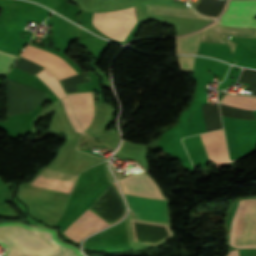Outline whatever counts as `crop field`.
<instances>
[{
  "mask_svg": "<svg viewBox=\"0 0 256 256\" xmlns=\"http://www.w3.org/2000/svg\"><path fill=\"white\" fill-rule=\"evenodd\" d=\"M20 223H0V243L8 249L3 256H40L43 244L37 240L59 251L83 256L77 249L60 242L48 229L21 223L36 240ZM47 245L44 246L42 256H73Z\"/></svg>",
  "mask_w": 256,
  "mask_h": 256,
  "instance_id": "obj_1",
  "label": "crop field"
},
{
  "mask_svg": "<svg viewBox=\"0 0 256 256\" xmlns=\"http://www.w3.org/2000/svg\"><path fill=\"white\" fill-rule=\"evenodd\" d=\"M228 245L256 248V198L240 199L228 213Z\"/></svg>",
  "mask_w": 256,
  "mask_h": 256,
  "instance_id": "obj_2",
  "label": "crop field"
},
{
  "mask_svg": "<svg viewBox=\"0 0 256 256\" xmlns=\"http://www.w3.org/2000/svg\"><path fill=\"white\" fill-rule=\"evenodd\" d=\"M135 21V10L132 7L104 13H95L93 24L105 35L124 41Z\"/></svg>",
  "mask_w": 256,
  "mask_h": 256,
  "instance_id": "obj_3",
  "label": "crop field"
},
{
  "mask_svg": "<svg viewBox=\"0 0 256 256\" xmlns=\"http://www.w3.org/2000/svg\"><path fill=\"white\" fill-rule=\"evenodd\" d=\"M256 0H231L219 24L232 27H256Z\"/></svg>",
  "mask_w": 256,
  "mask_h": 256,
  "instance_id": "obj_4",
  "label": "crop field"
},
{
  "mask_svg": "<svg viewBox=\"0 0 256 256\" xmlns=\"http://www.w3.org/2000/svg\"><path fill=\"white\" fill-rule=\"evenodd\" d=\"M126 195V194H125ZM134 214L143 219L168 222L167 200L126 195Z\"/></svg>",
  "mask_w": 256,
  "mask_h": 256,
  "instance_id": "obj_5",
  "label": "crop field"
},
{
  "mask_svg": "<svg viewBox=\"0 0 256 256\" xmlns=\"http://www.w3.org/2000/svg\"><path fill=\"white\" fill-rule=\"evenodd\" d=\"M22 56L52 71L58 80L76 75L74 70L65 62L30 45L23 51Z\"/></svg>",
  "mask_w": 256,
  "mask_h": 256,
  "instance_id": "obj_6",
  "label": "crop field"
},
{
  "mask_svg": "<svg viewBox=\"0 0 256 256\" xmlns=\"http://www.w3.org/2000/svg\"><path fill=\"white\" fill-rule=\"evenodd\" d=\"M75 177L74 175L44 169L30 185L69 194Z\"/></svg>",
  "mask_w": 256,
  "mask_h": 256,
  "instance_id": "obj_7",
  "label": "crop field"
},
{
  "mask_svg": "<svg viewBox=\"0 0 256 256\" xmlns=\"http://www.w3.org/2000/svg\"><path fill=\"white\" fill-rule=\"evenodd\" d=\"M106 225H108V223L88 209L66 229L64 234L78 242L87 234Z\"/></svg>",
  "mask_w": 256,
  "mask_h": 256,
  "instance_id": "obj_8",
  "label": "crop field"
},
{
  "mask_svg": "<svg viewBox=\"0 0 256 256\" xmlns=\"http://www.w3.org/2000/svg\"><path fill=\"white\" fill-rule=\"evenodd\" d=\"M200 136L209 160L215 162L217 168L229 165L222 130Z\"/></svg>",
  "mask_w": 256,
  "mask_h": 256,
  "instance_id": "obj_9",
  "label": "crop field"
},
{
  "mask_svg": "<svg viewBox=\"0 0 256 256\" xmlns=\"http://www.w3.org/2000/svg\"><path fill=\"white\" fill-rule=\"evenodd\" d=\"M147 7V14H168L174 16H185L191 18H203L209 19L210 18L201 16L193 11L191 8L185 7H173V6H164V5H146Z\"/></svg>",
  "mask_w": 256,
  "mask_h": 256,
  "instance_id": "obj_10",
  "label": "crop field"
},
{
  "mask_svg": "<svg viewBox=\"0 0 256 256\" xmlns=\"http://www.w3.org/2000/svg\"><path fill=\"white\" fill-rule=\"evenodd\" d=\"M213 28H209L205 31L196 33L192 36L181 37L176 39L177 54H197L198 45L201 33L213 31Z\"/></svg>",
  "mask_w": 256,
  "mask_h": 256,
  "instance_id": "obj_11",
  "label": "crop field"
},
{
  "mask_svg": "<svg viewBox=\"0 0 256 256\" xmlns=\"http://www.w3.org/2000/svg\"><path fill=\"white\" fill-rule=\"evenodd\" d=\"M220 102L242 109H256V97L226 95Z\"/></svg>",
  "mask_w": 256,
  "mask_h": 256,
  "instance_id": "obj_12",
  "label": "crop field"
},
{
  "mask_svg": "<svg viewBox=\"0 0 256 256\" xmlns=\"http://www.w3.org/2000/svg\"><path fill=\"white\" fill-rule=\"evenodd\" d=\"M60 99L65 97V93L56 78L47 70H42L36 74Z\"/></svg>",
  "mask_w": 256,
  "mask_h": 256,
  "instance_id": "obj_13",
  "label": "crop field"
},
{
  "mask_svg": "<svg viewBox=\"0 0 256 256\" xmlns=\"http://www.w3.org/2000/svg\"><path fill=\"white\" fill-rule=\"evenodd\" d=\"M215 29L217 30L218 33H221V34L249 37V38L256 37V28H231V27L216 25Z\"/></svg>",
  "mask_w": 256,
  "mask_h": 256,
  "instance_id": "obj_14",
  "label": "crop field"
},
{
  "mask_svg": "<svg viewBox=\"0 0 256 256\" xmlns=\"http://www.w3.org/2000/svg\"><path fill=\"white\" fill-rule=\"evenodd\" d=\"M15 59V56L0 51V74L6 72Z\"/></svg>",
  "mask_w": 256,
  "mask_h": 256,
  "instance_id": "obj_15",
  "label": "crop field"
},
{
  "mask_svg": "<svg viewBox=\"0 0 256 256\" xmlns=\"http://www.w3.org/2000/svg\"><path fill=\"white\" fill-rule=\"evenodd\" d=\"M182 71H192L194 64V56H177Z\"/></svg>",
  "mask_w": 256,
  "mask_h": 256,
  "instance_id": "obj_16",
  "label": "crop field"
},
{
  "mask_svg": "<svg viewBox=\"0 0 256 256\" xmlns=\"http://www.w3.org/2000/svg\"><path fill=\"white\" fill-rule=\"evenodd\" d=\"M200 42H206V43H225L219 37V35L216 33V31L202 34Z\"/></svg>",
  "mask_w": 256,
  "mask_h": 256,
  "instance_id": "obj_17",
  "label": "crop field"
},
{
  "mask_svg": "<svg viewBox=\"0 0 256 256\" xmlns=\"http://www.w3.org/2000/svg\"><path fill=\"white\" fill-rule=\"evenodd\" d=\"M221 37L226 41V43L228 44V46L230 47V49L234 53V49H235L236 44L232 43L229 37H226V36H221Z\"/></svg>",
  "mask_w": 256,
  "mask_h": 256,
  "instance_id": "obj_18",
  "label": "crop field"
},
{
  "mask_svg": "<svg viewBox=\"0 0 256 256\" xmlns=\"http://www.w3.org/2000/svg\"><path fill=\"white\" fill-rule=\"evenodd\" d=\"M227 256H239L238 250H232L229 253H227Z\"/></svg>",
  "mask_w": 256,
  "mask_h": 256,
  "instance_id": "obj_19",
  "label": "crop field"
}]
</instances>
